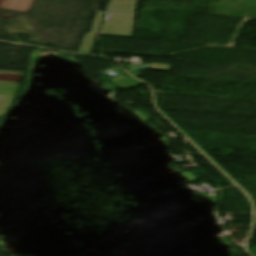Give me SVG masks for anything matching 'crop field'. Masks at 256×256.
<instances>
[{
    "instance_id": "6",
    "label": "crop field",
    "mask_w": 256,
    "mask_h": 256,
    "mask_svg": "<svg viewBox=\"0 0 256 256\" xmlns=\"http://www.w3.org/2000/svg\"><path fill=\"white\" fill-rule=\"evenodd\" d=\"M19 86L0 85V103H12Z\"/></svg>"
},
{
    "instance_id": "2",
    "label": "crop field",
    "mask_w": 256,
    "mask_h": 256,
    "mask_svg": "<svg viewBox=\"0 0 256 256\" xmlns=\"http://www.w3.org/2000/svg\"><path fill=\"white\" fill-rule=\"evenodd\" d=\"M104 15H105V12H97L96 13L91 32H90V34L84 35L83 42H82L79 53L85 54V55H88L90 53V51L94 45V42L98 36Z\"/></svg>"
},
{
    "instance_id": "3",
    "label": "crop field",
    "mask_w": 256,
    "mask_h": 256,
    "mask_svg": "<svg viewBox=\"0 0 256 256\" xmlns=\"http://www.w3.org/2000/svg\"><path fill=\"white\" fill-rule=\"evenodd\" d=\"M137 0H112L109 12L134 14Z\"/></svg>"
},
{
    "instance_id": "1",
    "label": "crop field",
    "mask_w": 256,
    "mask_h": 256,
    "mask_svg": "<svg viewBox=\"0 0 256 256\" xmlns=\"http://www.w3.org/2000/svg\"><path fill=\"white\" fill-rule=\"evenodd\" d=\"M135 15L109 13L101 34L130 37Z\"/></svg>"
},
{
    "instance_id": "4",
    "label": "crop field",
    "mask_w": 256,
    "mask_h": 256,
    "mask_svg": "<svg viewBox=\"0 0 256 256\" xmlns=\"http://www.w3.org/2000/svg\"><path fill=\"white\" fill-rule=\"evenodd\" d=\"M23 72L0 71V84L19 85Z\"/></svg>"
},
{
    "instance_id": "5",
    "label": "crop field",
    "mask_w": 256,
    "mask_h": 256,
    "mask_svg": "<svg viewBox=\"0 0 256 256\" xmlns=\"http://www.w3.org/2000/svg\"><path fill=\"white\" fill-rule=\"evenodd\" d=\"M110 81H112L114 84H116L118 87H120L123 90L132 88L134 86L143 84L142 82L132 78V77H125L123 75L114 77L112 79H110Z\"/></svg>"
},
{
    "instance_id": "8",
    "label": "crop field",
    "mask_w": 256,
    "mask_h": 256,
    "mask_svg": "<svg viewBox=\"0 0 256 256\" xmlns=\"http://www.w3.org/2000/svg\"><path fill=\"white\" fill-rule=\"evenodd\" d=\"M11 104H0V116H4Z\"/></svg>"
},
{
    "instance_id": "7",
    "label": "crop field",
    "mask_w": 256,
    "mask_h": 256,
    "mask_svg": "<svg viewBox=\"0 0 256 256\" xmlns=\"http://www.w3.org/2000/svg\"><path fill=\"white\" fill-rule=\"evenodd\" d=\"M171 65L152 63L149 65L150 69L168 72Z\"/></svg>"
}]
</instances>
